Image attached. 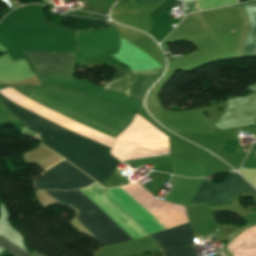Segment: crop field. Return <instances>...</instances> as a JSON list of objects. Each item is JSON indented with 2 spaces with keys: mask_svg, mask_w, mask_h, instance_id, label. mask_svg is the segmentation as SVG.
Wrapping results in <instances>:
<instances>
[{
  "mask_svg": "<svg viewBox=\"0 0 256 256\" xmlns=\"http://www.w3.org/2000/svg\"><path fill=\"white\" fill-rule=\"evenodd\" d=\"M0 101L16 118L43 139V145L63 156L97 182L104 183L121 164L110 148L32 113L0 93Z\"/></svg>",
  "mask_w": 256,
  "mask_h": 256,
  "instance_id": "crop-field-1",
  "label": "crop field"
},
{
  "mask_svg": "<svg viewBox=\"0 0 256 256\" xmlns=\"http://www.w3.org/2000/svg\"><path fill=\"white\" fill-rule=\"evenodd\" d=\"M31 63L36 75H56L73 78L75 68V54L53 52L22 51ZM164 69H150L147 71L121 70L105 88L134 97L143 102L148 89L163 73ZM136 99V100H137ZM138 100V101H139Z\"/></svg>",
  "mask_w": 256,
  "mask_h": 256,
  "instance_id": "crop-field-2",
  "label": "crop field"
},
{
  "mask_svg": "<svg viewBox=\"0 0 256 256\" xmlns=\"http://www.w3.org/2000/svg\"><path fill=\"white\" fill-rule=\"evenodd\" d=\"M58 202L78 210L76 218L102 245L136 239L82 189L46 191Z\"/></svg>",
  "mask_w": 256,
  "mask_h": 256,
  "instance_id": "crop-field-3",
  "label": "crop field"
},
{
  "mask_svg": "<svg viewBox=\"0 0 256 256\" xmlns=\"http://www.w3.org/2000/svg\"><path fill=\"white\" fill-rule=\"evenodd\" d=\"M202 179H190L172 176L171 190L166 198L167 201L190 205ZM256 194V190L247 184L240 176L229 173L225 182L214 184L203 180L192 204H222L233 200L242 193Z\"/></svg>",
  "mask_w": 256,
  "mask_h": 256,
  "instance_id": "crop-field-4",
  "label": "crop field"
},
{
  "mask_svg": "<svg viewBox=\"0 0 256 256\" xmlns=\"http://www.w3.org/2000/svg\"><path fill=\"white\" fill-rule=\"evenodd\" d=\"M45 172L38 180H34L35 188L68 190L86 187L95 182L66 159Z\"/></svg>",
  "mask_w": 256,
  "mask_h": 256,
  "instance_id": "crop-field-5",
  "label": "crop field"
},
{
  "mask_svg": "<svg viewBox=\"0 0 256 256\" xmlns=\"http://www.w3.org/2000/svg\"><path fill=\"white\" fill-rule=\"evenodd\" d=\"M250 98H256V95L228 101V109L215 125L221 129H227L254 124L256 102L248 103L247 99Z\"/></svg>",
  "mask_w": 256,
  "mask_h": 256,
  "instance_id": "crop-field-6",
  "label": "crop field"
},
{
  "mask_svg": "<svg viewBox=\"0 0 256 256\" xmlns=\"http://www.w3.org/2000/svg\"><path fill=\"white\" fill-rule=\"evenodd\" d=\"M151 236L158 241L162 249L194 243V235L188 223Z\"/></svg>",
  "mask_w": 256,
  "mask_h": 256,
  "instance_id": "crop-field-7",
  "label": "crop field"
},
{
  "mask_svg": "<svg viewBox=\"0 0 256 256\" xmlns=\"http://www.w3.org/2000/svg\"><path fill=\"white\" fill-rule=\"evenodd\" d=\"M255 13H256V3L251 4ZM251 5L243 6L247 16L249 18L250 22V28L246 37V42H245V48H244V54L243 57L251 56L252 54V48H253V42H254V37L256 33V15L251 7ZM252 56H256V38L254 42V48H253V54Z\"/></svg>",
  "mask_w": 256,
  "mask_h": 256,
  "instance_id": "crop-field-8",
  "label": "crop field"
},
{
  "mask_svg": "<svg viewBox=\"0 0 256 256\" xmlns=\"http://www.w3.org/2000/svg\"><path fill=\"white\" fill-rule=\"evenodd\" d=\"M164 256H197L193 246L176 247L162 251Z\"/></svg>",
  "mask_w": 256,
  "mask_h": 256,
  "instance_id": "crop-field-9",
  "label": "crop field"
},
{
  "mask_svg": "<svg viewBox=\"0 0 256 256\" xmlns=\"http://www.w3.org/2000/svg\"><path fill=\"white\" fill-rule=\"evenodd\" d=\"M0 246L3 247L4 249H6L7 251H9L10 253H12L15 256H31L30 254H28L24 250L20 249L19 247H17L13 243H11L10 241H8V240H6L2 237H0Z\"/></svg>",
  "mask_w": 256,
  "mask_h": 256,
  "instance_id": "crop-field-10",
  "label": "crop field"
},
{
  "mask_svg": "<svg viewBox=\"0 0 256 256\" xmlns=\"http://www.w3.org/2000/svg\"><path fill=\"white\" fill-rule=\"evenodd\" d=\"M137 3L141 0H136ZM159 0H142L141 2H139L140 5H144V4H152V3H157Z\"/></svg>",
  "mask_w": 256,
  "mask_h": 256,
  "instance_id": "crop-field-11",
  "label": "crop field"
},
{
  "mask_svg": "<svg viewBox=\"0 0 256 256\" xmlns=\"http://www.w3.org/2000/svg\"><path fill=\"white\" fill-rule=\"evenodd\" d=\"M141 256H163L161 251L158 252H154V253H150V254H146V255H141Z\"/></svg>",
  "mask_w": 256,
  "mask_h": 256,
  "instance_id": "crop-field-12",
  "label": "crop field"
},
{
  "mask_svg": "<svg viewBox=\"0 0 256 256\" xmlns=\"http://www.w3.org/2000/svg\"><path fill=\"white\" fill-rule=\"evenodd\" d=\"M245 1H249V0H239V3H241V2H245Z\"/></svg>",
  "mask_w": 256,
  "mask_h": 256,
  "instance_id": "crop-field-13",
  "label": "crop field"
},
{
  "mask_svg": "<svg viewBox=\"0 0 256 256\" xmlns=\"http://www.w3.org/2000/svg\"><path fill=\"white\" fill-rule=\"evenodd\" d=\"M35 256H42V255L35 253Z\"/></svg>",
  "mask_w": 256,
  "mask_h": 256,
  "instance_id": "crop-field-14",
  "label": "crop field"
},
{
  "mask_svg": "<svg viewBox=\"0 0 256 256\" xmlns=\"http://www.w3.org/2000/svg\"><path fill=\"white\" fill-rule=\"evenodd\" d=\"M194 3H195V1H194ZM195 5H196V3H195ZM196 7H197V5H196ZM197 9H198V7H197ZM198 11H199V9H198Z\"/></svg>",
  "mask_w": 256,
  "mask_h": 256,
  "instance_id": "crop-field-15",
  "label": "crop field"
}]
</instances>
